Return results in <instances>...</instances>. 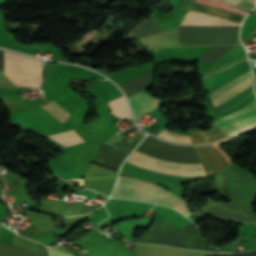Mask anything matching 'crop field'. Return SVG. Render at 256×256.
Listing matches in <instances>:
<instances>
[{
  "label": "crop field",
  "instance_id": "crop-field-1",
  "mask_svg": "<svg viewBox=\"0 0 256 256\" xmlns=\"http://www.w3.org/2000/svg\"><path fill=\"white\" fill-rule=\"evenodd\" d=\"M136 242L219 252L213 244H206L202 233L192 222L181 231L159 220H155L145 234Z\"/></svg>",
  "mask_w": 256,
  "mask_h": 256
},
{
  "label": "crop field",
  "instance_id": "crop-field-2",
  "mask_svg": "<svg viewBox=\"0 0 256 256\" xmlns=\"http://www.w3.org/2000/svg\"><path fill=\"white\" fill-rule=\"evenodd\" d=\"M111 196L159 203L173 207L185 216L189 214L186 202L154 184L135 178L119 176L117 186Z\"/></svg>",
  "mask_w": 256,
  "mask_h": 256
},
{
  "label": "crop field",
  "instance_id": "crop-field-3",
  "mask_svg": "<svg viewBox=\"0 0 256 256\" xmlns=\"http://www.w3.org/2000/svg\"><path fill=\"white\" fill-rule=\"evenodd\" d=\"M31 59L23 56V79L22 78V56L14 54V76L13 83L30 87L31 83ZM4 73L12 80L13 75V53L4 51ZM31 87H41V60H32V83Z\"/></svg>",
  "mask_w": 256,
  "mask_h": 256
},
{
  "label": "crop field",
  "instance_id": "crop-field-4",
  "mask_svg": "<svg viewBox=\"0 0 256 256\" xmlns=\"http://www.w3.org/2000/svg\"><path fill=\"white\" fill-rule=\"evenodd\" d=\"M226 118L232 124H234L241 132L255 128L256 99L252 101L248 106L238 110L237 112L229 116H226ZM226 118L223 117L215 120L213 125L219 127L229 136L240 133V131Z\"/></svg>",
  "mask_w": 256,
  "mask_h": 256
},
{
  "label": "crop field",
  "instance_id": "crop-field-5",
  "mask_svg": "<svg viewBox=\"0 0 256 256\" xmlns=\"http://www.w3.org/2000/svg\"><path fill=\"white\" fill-rule=\"evenodd\" d=\"M132 157L137 158L141 161L156 165V166H161V167H167V168H174V169H181V170H201L203 169L201 164H196V165H182V164H174V163H168V162H164V161H160V160H156V159H152L149 157H146L138 152H134V154L132 155ZM130 157L128 159V162L136 165V166H140V167H144L147 169H151L154 171H158V172H162V173H167V174H171V175H177V176H185V177H200V176H206V173L204 170L201 171H181V170H174V169H167V168H161V167H156L144 162H141L139 160H136L134 158Z\"/></svg>",
  "mask_w": 256,
  "mask_h": 256
},
{
  "label": "crop field",
  "instance_id": "crop-field-6",
  "mask_svg": "<svg viewBox=\"0 0 256 256\" xmlns=\"http://www.w3.org/2000/svg\"><path fill=\"white\" fill-rule=\"evenodd\" d=\"M144 136L139 133L131 144L121 141L114 148L102 144L98 153L96 154L93 163L119 170L121 163L141 141Z\"/></svg>",
  "mask_w": 256,
  "mask_h": 256
},
{
  "label": "crop field",
  "instance_id": "crop-field-7",
  "mask_svg": "<svg viewBox=\"0 0 256 256\" xmlns=\"http://www.w3.org/2000/svg\"><path fill=\"white\" fill-rule=\"evenodd\" d=\"M202 208L224 219L256 222V213L249 207L209 201Z\"/></svg>",
  "mask_w": 256,
  "mask_h": 256
},
{
  "label": "crop field",
  "instance_id": "crop-field-8",
  "mask_svg": "<svg viewBox=\"0 0 256 256\" xmlns=\"http://www.w3.org/2000/svg\"><path fill=\"white\" fill-rule=\"evenodd\" d=\"M252 77L250 71L210 92V98L214 107L226 102L244 90L251 84Z\"/></svg>",
  "mask_w": 256,
  "mask_h": 256
},
{
  "label": "crop field",
  "instance_id": "crop-field-9",
  "mask_svg": "<svg viewBox=\"0 0 256 256\" xmlns=\"http://www.w3.org/2000/svg\"><path fill=\"white\" fill-rule=\"evenodd\" d=\"M197 3L230 10V11L237 12V13L244 14V15L247 14V12L240 10L236 7L230 6L221 0H197ZM197 3H195L192 10L219 16V17H223V18H227V19L233 20L238 23H240L242 18L245 17L244 15H240V14L233 13L230 11L217 9V8H213V7H209V6H205V5H201V4H197Z\"/></svg>",
  "mask_w": 256,
  "mask_h": 256
},
{
  "label": "crop field",
  "instance_id": "crop-field-10",
  "mask_svg": "<svg viewBox=\"0 0 256 256\" xmlns=\"http://www.w3.org/2000/svg\"><path fill=\"white\" fill-rule=\"evenodd\" d=\"M207 175L223 171L229 165L211 146L194 147Z\"/></svg>",
  "mask_w": 256,
  "mask_h": 256
},
{
  "label": "crop field",
  "instance_id": "crop-field-11",
  "mask_svg": "<svg viewBox=\"0 0 256 256\" xmlns=\"http://www.w3.org/2000/svg\"><path fill=\"white\" fill-rule=\"evenodd\" d=\"M181 26H240V24L189 11Z\"/></svg>",
  "mask_w": 256,
  "mask_h": 256
},
{
  "label": "crop field",
  "instance_id": "crop-field-12",
  "mask_svg": "<svg viewBox=\"0 0 256 256\" xmlns=\"http://www.w3.org/2000/svg\"><path fill=\"white\" fill-rule=\"evenodd\" d=\"M128 99L136 120L160 104L158 99L153 98L146 93H138Z\"/></svg>",
  "mask_w": 256,
  "mask_h": 256
},
{
  "label": "crop field",
  "instance_id": "crop-field-13",
  "mask_svg": "<svg viewBox=\"0 0 256 256\" xmlns=\"http://www.w3.org/2000/svg\"><path fill=\"white\" fill-rule=\"evenodd\" d=\"M0 256H48L47 248L39 244V255L0 242Z\"/></svg>",
  "mask_w": 256,
  "mask_h": 256
},
{
  "label": "crop field",
  "instance_id": "crop-field-14",
  "mask_svg": "<svg viewBox=\"0 0 256 256\" xmlns=\"http://www.w3.org/2000/svg\"><path fill=\"white\" fill-rule=\"evenodd\" d=\"M160 32H162V30L158 26L152 15L148 20H146L144 23H142L140 26L134 29L131 33L134 34L140 40H142L144 38H147Z\"/></svg>",
  "mask_w": 256,
  "mask_h": 256
},
{
  "label": "crop field",
  "instance_id": "crop-field-15",
  "mask_svg": "<svg viewBox=\"0 0 256 256\" xmlns=\"http://www.w3.org/2000/svg\"><path fill=\"white\" fill-rule=\"evenodd\" d=\"M49 137H51L58 143L64 145L65 147L84 142L83 138L80 135H78L74 129L70 131L50 135Z\"/></svg>",
  "mask_w": 256,
  "mask_h": 256
},
{
  "label": "crop field",
  "instance_id": "crop-field-16",
  "mask_svg": "<svg viewBox=\"0 0 256 256\" xmlns=\"http://www.w3.org/2000/svg\"><path fill=\"white\" fill-rule=\"evenodd\" d=\"M112 113L121 119L132 118L124 96L109 102Z\"/></svg>",
  "mask_w": 256,
  "mask_h": 256
},
{
  "label": "crop field",
  "instance_id": "crop-field-17",
  "mask_svg": "<svg viewBox=\"0 0 256 256\" xmlns=\"http://www.w3.org/2000/svg\"><path fill=\"white\" fill-rule=\"evenodd\" d=\"M41 107L44 108L47 112H49L62 123L67 121L68 117L70 116V113L68 111H66L63 107H61L58 103H56L53 100Z\"/></svg>",
  "mask_w": 256,
  "mask_h": 256
},
{
  "label": "crop field",
  "instance_id": "crop-field-18",
  "mask_svg": "<svg viewBox=\"0 0 256 256\" xmlns=\"http://www.w3.org/2000/svg\"><path fill=\"white\" fill-rule=\"evenodd\" d=\"M115 172L91 164L85 178L114 177Z\"/></svg>",
  "mask_w": 256,
  "mask_h": 256
},
{
  "label": "crop field",
  "instance_id": "crop-field-19",
  "mask_svg": "<svg viewBox=\"0 0 256 256\" xmlns=\"http://www.w3.org/2000/svg\"><path fill=\"white\" fill-rule=\"evenodd\" d=\"M158 136L162 137L164 139L170 140V141L178 142V143L191 144L190 136L172 133V132L166 131L164 129H162V131L159 133Z\"/></svg>",
  "mask_w": 256,
  "mask_h": 256
},
{
  "label": "crop field",
  "instance_id": "crop-field-20",
  "mask_svg": "<svg viewBox=\"0 0 256 256\" xmlns=\"http://www.w3.org/2000/svg\"><path fill=\"white\" fill-rule=\"evenodd\" d=\"M190 133L193 144L206 143L204 132H199V130H190Z\"/></svg>",
  "mask_w": 256,
  "mask_h": 256
},
{
  "label": "crop field",
  "instance_id": "crop-field-21",
  "mask_svg": "<svg viewBox=\"0 0 256 256\" xmlns=\"http://www.w3.org/2000/svg\"><path fill=\"white\" fill-rule=\"evenodd\" d=\"M207 140L208 143L213 142V141H217L223 138H227V136L225 134H223L222 132L218 131V132H214L211 134H207Z\"/></svg>",
  "mask_w": 256,
  "mask_h": 256
},
{
  "label": "crop field",
  "instance_id": "crop-field-22",
  "mask_svg": "<svg viewBox=\"0 0 256 256\" xmlns=\"http://www.w3.org/2000/svg\"><path fill=\"white\" fill-rule=\"evenodd\" d=\"M232 256H256V250L254 251H247L243 253H229Z\"/></svg>",
  "mask_w": 256,
  "mask_h": 256
},
{
  "label": "crop field",
  "instance_id": "crop-field-23",
  "mask_svg": "<svg viewBox=\"0 0 256 256\" xmlns=\"http://www.w3.org/2000/svg\"><path fill=\"white\" fill-rule=\"evenodd\" d=\"M50 256H71L65 252L49 249ZM74 256V255H73Z\"/></svg>",
  "mask_w": 256,
  "mask_h": 256
},
{
  "label": "crop field",
  "instance_id": "crop-field-24",
  "mask_svg": "<svg viewBox=\"0 0 256 256\" xmlns=\"http://www.w3.org/2000/svg\"><path fill=\"white\" fill-rule=\"evenodd\" d=\"M227 2H229L230 4L236 6L241 0H225Z\"/></svg>",
  "mask_w": 256,
  "mask_h": 256
},
{
  "label": "crop field",
  "instance_id": "crop-field-25",
  "mask_svg": "<svg viewBox=\"0 0 256 256\" xmlns=\"http://www.w3.org/2000/svg\"><path fill=\"white\" fill-rule=\"evenodd\" d=\"M205 256H229L228 254H207Z\"/></svg>",
  "mask_w": 256,
  "mask_h": 256
},
{
  "label": "crop field",
  "instance_id": "crop-field-26",
  "mask_svg": "<svg viewBox=\"0 0 256 256\" xmlns=\"http://www.w3.org/2000/svg\"><path fill=\"white\" fill-rule=\"evenodd\" d=\"M252 13L256 14V9L252 11Z\"/></svg>",
  "mask_w": 256,
  "mask_h": 256
},
{
  "label": "crop field",
  "instance_id": "crop-field-27",
  "mask_svg": "<svg viewBox=\"0 0 256 256\" xmlns=\"http://www.w3.org/2000/svg\"><path fill=\"white\" fill-rule=\"evenodd\" d=\"M253 40L256 41V38H254Z\"/></svg>",
  "mask_w": 256,
  "mask_h": 256
},
{
  "label": "crop field",
  "instance_id": "crop-field-28",
  "mask_svg": "<svg viewBox=\"0 0 256 256\" xmlns=\"http://www.w3.org/2000/svg\"><path fill=\"white\" fill-rule=\"evenodd\" d=\"M0 75H3V74L0 72Z\"/></svg>",
  "mask_w": 256,
  "mask_h": 256
},
{
  "label": "crop field",
  "instance_id": "crop-field-29",
  "mask_svg": "<svg viewBox=\"0 0 256 256\" xmlns=\"http://www.w3.org/2000/svg\"><path fill=\"white\" fill-rule=\"evenodd\" d=\"M256 2V0H254Z\"/></svg>",
  "mask_w": 256,
  "mask_h": 256
}]
</instances>
